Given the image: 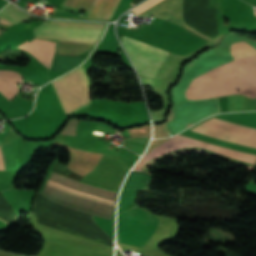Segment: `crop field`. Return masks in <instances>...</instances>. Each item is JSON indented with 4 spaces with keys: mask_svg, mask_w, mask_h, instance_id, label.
Segmentation results:
<instances>
[{
    "mask_svg": "<svg viewBox=\"0 0 256 256\" xmlns=\"http://www.w3.org/2000/svg\"><path fill=\"white\" fill-rule=\"evenodd\" d=\"M236 58L188 81V103L225 96H256V49L248 40L234 41Z\"/></svg>",
    "mask_w": 256,
    "mask_h": 256,
    "instance_id": "1",
    "label": "crop field"
},
{
    "mask_svg": "<svg viewBox=\"0 0 256 256\" xmlns=\"http://www.w3.org/2000/svg\"><path fill=\"white\" fill-rule=\"evenodd\" d=\"M190 132H194L200 135H204L256 151V127L254 126L216 117L202 124L201 126L191 130ZM191 147L220 153L228 157L252 164H254L256 160V158H252L246 155H242L236 152H232L226 149H222L216 146L176 135L144 155L135 169L141 171L142 167L145 164L155 158H158L167 153Z\"/></svg>",
    "mask_w": 256,
    "mask_h": 256,
    "instance_id": "2",
    "label": "crop field"
},
{
    "mask_svg": "<svg viewBox=\"0 0 256 256\" xmlns=\"http://www.w3.org/2000/svg\"><path fill=\"white\" fill-rule=\"evenodd\" d=\"M53 171L58 172V173H60L62 175H65V176L75 178L79 181H81V179H82V176H79V175L73 173L70 169H68L66 166H64L60 162H57ZM55 172H53L51 177H50V180H52L54 182H57L59 184L65 185L67 187L73 188V189L78 190V191H82V192H85V193H88V194H92V195H96V196H100V197H103V198H107V199H111V200L116 201V195H117L118 190H113V191H117V192H113V191H110L111 189L106 190L108 188H106V189L99 188L101 186L95 187L97 185H95V186H92L94 184L88 185L90 183L85 184L87 182L82 183L83 181L79 182L75 179L59 175ZM48 183L46 184L47 186L52 187L54 189H57L59 191H62L64 193L115 206V204H113V203L97 200V199L90 198V197H87V196H84V195H80V194H77V193H74V192H70V191L64 190L65 188L62 189V188L56 187L57 185L53 186L54 184L51 185V184H48ZM47 186L45 187L44 190L49 191L51 193H54V194L59 195V196L64 197V198H68V199L78 201V202H81V203H84V204H88V205H92V206H96V207H100V208H104V209H108V210H112V211L115 208L113 206H109V205H105V204L85 200V199H82V198H78V197H75V196L67 195V194L59 192L57 190H54L52 188H49ZM44 190L42 191L41 195H43L44 197H46L47 199H49L50 201H52L56 204H59V205H62V206H65V207H68V208H71V209H75V210H78V211H81V212H84V213H88V214H92V215H95V216H99V217H103V218H107V219L112 220V218H111L112 211H108V210H104V209L84 205V204H81V203H77V202H74V201H71V200H67V199L61 198L59 196H56L54 194H51L49 192H46Z\"/></svg>",
    "mask_w": 256,
    "mask_h": 256,
    "instance_id": "3",
    "label": "crop field"
},
{
    "mask_svg": "<svg viewBox=\"0 0 256 256\" xmlns=\"http://www.w3.org/2000/svg\"><path fill=\"white\" fill-rule=\"evenodd\" d=\"M104 25L50 21L36 29L35 38L58 39L56 54L79 55L98 40Z\"/></svg>",
    "mask_w": 256,
    "mask_h": 256,
    "instance_id": "4",
    "label": "crop field"
},
{
    "mask_svg": "<svg viewBox=\"0 0 256 256\" xmlns=\"http://www.w3.org/2000/svg\"><path fill=\"white\" fill-rule=\"evenodd\" d=\"M119 219L118 241L140 247L144 246L158 225V218L134 206L119 213Z\"/></svg>",
    "mask_w": 256,
    "mask_h": 256,
    "instance_id": "5",
    "label": "crop field"
},
{
    "mask_svg": "<svg viewBox=\"0 0 256 256\" xmlns=\"http://www.w3.org/2000/svg\"><path fill=\"white\" fill-rule=\"evenodd\" d=\"M51 83L61 101L65 114L89 103V79L82 65Z\"/></svg>",
    "mask_w": 256,
    "mask_h": 256,
    "instance_id": "6",
    "label": "crop field"
},
{
    "mask_svg": "<svg viewBox=\"0 0 256 256\" xmlns=\"http://www.w3.org/2000/svg\"><path fill=\"white\" fill-rule=\"evenodd\" d=\"M122 43L139 74L154 78L169 52L123 35Z\"/></svg>",
    "mask_w": 256,
    "mask_h": 256,
    "instance_id": "7",
    "label": "crop field"
},
{
    "mask_svg": "<svg viewBox=\"0 0 256 256\" xmlns=\"http://www.w3.org/2000/svg\"><path fill=\"white\" fill-rule=\"evenodd\" d=\"M119 0H65L63 5L90 11L88 17L110 20Z\"/></svg>",
    "mask_w": 256,
    "mask_h": 256,
    "instance_id": "8",
    "label": "crop field"
},
{
    "mask_svg": "<svg viewBox=\"0 0 256 256\" xmlns=\"http://www.w3.org/2000/svg\"><path fill=\"white\" fill-rule=\"evenodd\" d=\"M55 44L54 42L34 39L31 42H24L17 48L25 49L34 55L38 60H40L45 66L50 68L52 58L55 54Z\"/></svg>",
    "mask_w": 256,
    "mask_h": 256,
    "instance_id": "9",
    "label": "crop field"
},
{
    "mask_svg": "<svg viewBox=\"0 0 256 256\" xmlns=\"http://www.w3.org/2000/svg\"><path fill=\"white\" fill-rule=\"evenodd\" d=\"M22 82L23 81L19 73L9 70L0 71V92L8 100L18 91L17 84Z\"/></svg>",
    "mask_w": 256,
    "mask_h": 256,
    "instance_id": "10",
    "label": "crop field"
},
{
    "mask_svg": "<svg viewBox=\"0 0 256 256\" xmlns=\"http://www.w3.org/2000/svg\"><path fill=\"white\" fill-rule=\"evenodd\" d=\"M9 7H11L12 9L18 11L19 13L23 14L24 16L31 18V16L25 12H23L22 10H20L19 8H17L16 6H14L13 4H9L7 5ZM5 7L1 12H0V18L9 21L11 23L17 24L23 20H26L24 17H22L21 15H19L18 13H16L15 11H13L12 9H10L9 7ZM27 18V19H28Z\"/></svg>",
    "mask_w": 256,
    "mask_h": 256,
    "instance_id": "11",
    "label": "crop field"
},
{
    "mask_svg": "<svg viewBox=\"0 0 256 256\" xmlns=\"http://www.w3.org/2000/svg\"><path fill=\"white\" fill-rule=\"evenodd\" d=\"M0 170H5L3 145L0 146Z\"/></svg>",
    "mask_w": 256,
    "mask_h": 256,
    "instance_id": "12",
    "label": "crop field"
},
{
    "mask_svg": "<svg viewBox=\"0 0 256 256\" xmlns=\"http://www.w3.org/2000/svg\"><path fill=\"white\" fill-rule=\"evenodd\" d=\"M133 6V4H131Z\"/></svg>",
    "mask_w": 256,
    "mask_h": 256,
    "instance_id": "13",
    "label": "crop field"
},
{
    "mask_svg": "<svg viewBox=\"0 0 256 256\" xmlns=\"http://www.w3.org/2000/svg\"><path fill=\"white\" fill-rule=\"evenodd\" d=\"M145 255V254H144ZM145 256H147V255H145Z\"/></svg>",
    "mask_w": 256,
    "mask_h": 256,
    "instance_id": "14",
    "label": "crop field"
}]
</instances>
